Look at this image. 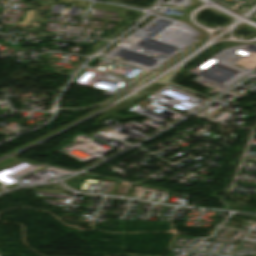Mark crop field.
I'll return each instance as SVG.
<instances>
[{"label":"crop field","mask_w":256,"mask_h":256,"mask_svg":"<svg viewBox=\"0 0 256 256\" xmlns=\"http://www.w3.org/2000/svg\"><path fill=\"white\" fill-rule=\"evenodd\" d=\"M144 97H145V95H142V94H139V93L133 95L129 99L125 100L124 102H122V103L114 106L113 108L103 112L100 115V117L95 121V123L93 125H95V124H97V123L115 115L116 113L120 112L121 110L125 109L126 107L132 105L133 103L137 102L138 100H140Z\"/></svg>","instance_id":"8a807250"}]
</instances>
